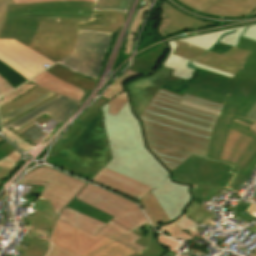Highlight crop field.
<instances>
[{
	"label": "crop field",
	"mask_w": 256,
	"mask_h": 256,
	"mask_svg": "<svg viewBox=\"0 0 256 256\" xmlns=\"http://www.w3.org/2000/svg\"><path fill=\"white\" fill-rule=\"evenodd\" d=\"M0 39H14L56 62L72 53L77 29L116 33L125 12L94 11L95 0H0Z\"/></svg>",
	"instance_id": "crop-field-1"
},
{
	"label": "crop field",
	"mask_w": 256,
	"mask_h": 256,
	"mask_svg": "<svg viewBox=\"0 0 256 256\" xmlns=\"http://www.w3.org/2000/svg\"><path fill=\"white\" fill-rule=\"evenodd\" d=\"M188 101L215 110L222 104L160 89L141 116L150 151L173 171L191 155L206 158L218 115L180 105Z\"/></svg>",
	"instance_id": "crop-field-2"
},
{
	"label": "crop field",
	"mask_w": 256,
	"mask_h": 256,
	"mask_svg": "<svg viewBox=\"0 0 256 256\" xmlns=\"http://www.w3.org/2000/svg\"><path fill=\"white\" fill-rule=\"evenodd\" d=\"M102 111L113 158L105 168L154 188L152 194L170 221L174 220L190 199L189 187L172 183L168 172L145 149L128 101L116 116L108 114V104Z\"/></svg>",
	"instance_id": "crop-field-3"
},
{
	"label": "crop field",
	"mask_w": 256,
	"mask_h": 256,
	"mask_svg": "<svg viewBox=\"0 0 256 256\" xmlns=\"http://www.w3.org/2000/svg\"><path fill=\"white\" fill-rule=\"evenodd\" d=\"M107 102L100 97L82 113L55 143L45 161L56 155L98 173L112 159L100 110Z\"/></svg>",
	"instance_id": "crop-field-4"
},
{
	"label": "crop field",
	"mask_w": 256,
	"mask_h": 256,
	"mask_svg": "<svg viewBox=\"0 0 256 256\" xmlns=\"http://www.w3.org/2000/svg\"><path fill=\"white\" fill-rule=\"evenodd\" d=\"M201 75L190 82L186 93L218 103L225 100L244 107L236 120L253 124L244 119L256 103V64L245 61L233 79L198 69Z\"/></svg>",
	"instance_id": "crop-field-5"
},
{
	"label": "crop field",
	"mask_w": 256,
	"mask_h": 256,
	"mask_svg": "<svg viewBox=\"0 0 256 256\" xmlns=\"http://www.w3.org/2000/svg\"><path fill=\"white\" fill-rule=\"evenodd\" d=\"M19 183L45 185L40 197L51 200L58 220L95 235L105 224L65 208L87 184L71 176L40 167L27 173Z\"/></svg>",
	"instance_id": "crop-field-6"
},
{
	"label": "crop field",
	"mask_w": 256,
	"mask_h": 256,
	"mask_svg": "<svg viewBox=\"0 0 256 256\" xmlns=\"http://www.w3.org/2000/svg\"><path fill=\"white\" fill-rule=\"evenodd\" d=\"M242 107L225 102L208 148L207 158L228 163L236 176L229 183L231 188L256 156V137L231 126ZM228 149V151H226Z\"/></svg>",
	"instance_id": "crop-field-7"
},
{
	"label": "crop field",
	"mask_w": 256,
	"mask_h": 256,
	"mask_svg": "<svg viewBox=\"0 0 256 256\" xmlns=\"http://www.w3.org/2000/svg\"><path fill=\"white\" fill-rule=\"evenodd\" d=\"M231 168L226 164L191 156L172 172V176L177 182L194 184L191 191L194 198L210 201L234 176L229 174Z\"/></svg>",
	"instance_id": "crop-field-8"
},
{
	"label": "crop field",
	"mask_w": 256,
	"mask_h": 256,
	"mask_svg": "<svg viewBox=\"0 0 256 256\" xmlns=\"http://www.w3.org/2000/svg\"><path fill=\"white\" fill-rule=\"evenodd\" d=\"M112 35L78 30L73 53L56 63L82 76L98 80Z\"/></svg>",
	"instance_id": "crop-field-9"
},
{
	"label": "crop field",
	"mask_w": 256,
	"mask_h": 256,
	"mask_svg": "<svg viewBox=\"0 0 256 256\" xmlns=\"http://www.w3.org/2000/svg\"><path fill=\"white\" fill-rule=\"evenodd\" d=\"M76 198L114 216L112 221L131 232L147 223L136 204L93 185L87 184Z\"/></svg>",
	"instance_id": "crop-field-10"
},
{
	"label": "crop field",
	"mask_w": 256,
	"mask_h": 256,
	"mask_svg": "<svg viewBox=\"0 0 256 256\" xmlns=\"http://www.w3.org/2000/svg\"><path fill=\"white\" fill-rule=\"evenodd\" d=\"M75 228L57 220L49 240L79 256H89L115 242L99 233L93 236Z\"/></svg>",
	"instance_id": "crop-field-11"
},
{
	"label": "crop field",
	"mask_w": 256,
	"mask_h": 256,
	"mask_svg": "<svg viewBox=\"0 0 256 256\" xmlns=\"http://www.w3.org/2000/svg\"><path fill=\"white\" fill-rule=\"evenodd\" d=\"M0 60L28 80L55 64L14 40H0Z\"/></svg>",
	"instance_id": "crop-field-12"
},
{
	"label": "crop field",
	"mask_w": 256,
	"mask_h": 256,
	"mask_svg": "<svg viewBox=\"0 0 256 256\" xmlns=\"http://www.w3.org/2000/svg\"><path fill=\"white\" fill-rule=\"evenodd\" d=\"M195 10L217 16H251L256 14V0H178Z\"/></svg>",
	"instance_id": "crop-field-13"
},
{
	"label": "crop field",
	"mask_w": 256,
	"mask_h": 256,
	"mask_svg": "<svg viewBox=\"0 0 256 256\" xmlns=\"http://www.w3.org/2000/svg\"><path fill=\"white\" fill-rule=\"evenodd\" d=\"M173 69L161 67V69L129 85V92L132 98L135 114L140 118L149 103L165 81H167Z\"/></svg>",
	"instance_id": "crop-field-14"
},
{
	"label": "crop field",
	"mask_w": 256,
	"mask_h": 256,
	"mask_svg": "<svg viewBox=\"0 0 256 256\" xmlns=\"http://www.w3.org/2000/svg\"><path fill=\"white\" fill-rule=\"evenodd\" d=\"M80 104L81 102L59 96L15 120L14 122L6 125L3 127V131L9 129L10 127L17 131L44 113L49 117L63 123Z\"/></svg>",
	"instance_id": "crop-field-15"
},
{
	"label": "crop field",
	"mask_w": 256,
	"mask_h": 256,
	"mask_svg": "<svg viewBox=\"0 0 256 256\" xmlns=\"http://www.w3.org/2000/svg\"><path fill=\"white\" fill-rule=\"evenodd\" d=\"M175 42L178 45L174 51V54L231 73L233 75H235L243 65L242 63L233 59L196 48L186 43L179 41Z\"/></svg>",
	"instance_id": "crop-field-16"
},
{
	"label": "crop field",
	"mask_w": 256,
	"mask_h": 256,
	"mask_svg": "<svg viewBox=\"0 0 256 256\" xmlns=\"http://www.w3.org/2000/svg\"><path fill=\"white\" fill-rule=\"evenodd\" d=\"M134 233L142 237L136 243L146 247L140 253L115 242L98 250L91 256H159L163 253V249L156 243L152 236L153 230L149 223L138 228ZM156 251H158V253H156Z\"/></svg>",
	"instance_id": "crop-field-17"
},
{
	"label": "crop field",
	"mask_w": 256,
	"mask_h": 256,
	"mask_svg": "<svg viewBox=\"0 0 256 256\" xmlns=\"http://www.w3.org/2000/svg\"><path fill=\"white\" fill-rule=\"evenodd\" d=\"M118 194L138 201L152 188L103 168L92 180Z\"/></svg>",
	"instance_id": "crop-field-18"
},
{
	"label": "crop field",
	"mask_w": 256,
	"mask_h": 256,
	"mask_svg": "<svg viewBox=\"0 0 256 256\" xmlns=\"http://www.w3.org/2000/svg\"><path fill=\"white\" fill-rule=\"evenodd\" d=\"M161 11V22L158 31L163 37L201 26L214 25L213 23L200 21L187 16L171 7L166 1H163Z\"/></svg>",
	"instance_id": "crop-field-19"
},
{
	"label": "crop field",
	"mask_w": 256,
	"mask_h": 256,
	"mask_svg": "<svg viewBox=\"0 0 256 256\" xmlns=\"http://www.w3.org/2000/svg\"><path fill=\"white\" fill-rule=\"evenodd\" d=\"M205 206L207 205H200L199 203L192 201V203H190L188 206L189 209H186L185 214L181 218H179L177 221L173 222L172 224L166 227H162L160 231L177 240L178 238L182 240L193 238L187 232L175 227L174 225L178 223L185 215L188 216L197 224L200 223L201 221L208 224L210 222H214L215 220H217V218L212 217V213H209V211L207 210L201 209Z\"/></svg>",
	"instance_id": "crop-field-20"
},
{
	"label": "crop field",
	"mask_w": 256,
	"mask_h": 256,
	"mask_svg": "<svg viewBox=\"0 0 256 256\" xmlns=\"http://www.w3.org/2000/svg\"><path fill=\"white\" fill-rule=\"evenodd\" d=\"M142 76L132 71H125L120 77L115 79V81L110 85L107 91L102 95V97L110 100L109 103V113L116 115L121 107L128 100L126 89L124 85L126 82ZM116 87V88H114Z\"/></svg>",
	"instance_id": "crop-field-21"
},
{
	"label": "crop field",
	"mask_w": 256,
	"mask_h": 256,
	"mask_svg": "<svg viewBox=\"0 0 256 256\" xmlns=\"http://www.w3.org/2000/svg\"><path fill=\"white\" fill-rule=\"evenodd\" d=\"M168 44L171 46V53L165 59V61L163 62V66L175 69V71L173 73V76L181 77V78H184L186 80L192 78V73L195 70L191 69L187 66L188 63H190L195 67H199L200 69H204V70H207V71H211V72H214V73H218V74L233 78V75H230L228 73L210 68L208 66H205V65L193 62V61H189L187 59H184V58H181L179 56H176V55L172 54L177 44H175L174 42H170Z\"/></svg>",
	"instance_id": "crop-field-22"
},
{
	"label": "crop field",
	"mask_w": 256,
	"mask_h": 256,
	"mask_svg": "<svg viewBox=\"0 0 256 256\" xmlns=\"http://www.w3.org/2000/svg\"><path fill=\"white\" fill-rule=\"evenodd\" d=\"M30 81L55 93L78 101H80L82 96L85 94V91L74 88L75 86L72 87L56 79L45 71L32 78Z\"/></svg>",
	"instance_id": "crop-field-23"
},
{
	"label": "crop field",
	"mask_w": 256,
	"mask_h": 256,
	"mask_svg": "<svg viewBox=\"0 0 256 256\" xmlns=\"http://www.w3.org/2000/svg\"><path fill=\"white\" fill-rule=\"evenodd\" d=\"M48 73L52 74L56 78L72 85L82 90L87 91L84 97L81 99V102L87 97L92 88L95 86L96 81L90 78L82 77L77 75L74 72H71L62 66L56 64L49 69L45 70Z\"/></svg>",
	"instance_id": "crop-field-24"
},
{
	"label": "crop field",
	"mask_w": 256,
	"mask_h": 256,
	"mask_svg": "<svg viewBox=\"0 0 256 256\" xmlns=\"http://www.w3.org/2000/svg\"><path fill=\"white\" fill-rule=\"evenodd\" d=\"M166 50L164 44L154 48L152 51L133 59V64L128 69L146 75L154 70Z\"/></svg>",
	"instance_id": "crop-field-25"
},
{
	"label": "crop field",
	"mask_w": 256,
	"mask_h": 256,
	"mask_svg": "<svg viewBox=\"0 0 256 256\" xmlns=\"http://www.w3.org/2000/svg\"><path fill=\"white\" fill-rule=\"evenodd\" d=\"M99 233L118 241L138 252H140L144 247L134 243L140 237L137 235L127 231L126 229L122 228L121 226L117 225L114 222L108 223L103 229L99 231Z\"/></svg>",
	"instance_id": "crop-field-26"
},
{
	"label": "crop field",
	"mask_w": 256,
	"mask_h": 256,
	"mask_svg": "<svg viewBox=\"0 0 256 256\" xmlns=\"http://www.w3.org/2000/svg\"><path fill=\"white\" fill-rule=\"evenodd\" d=\"M139 203L154 225L155 229L158 225L169 222L168 217L166 216L165 212H163L162 208L155 200L151 192Z\"/></svg>",
	"instance_id": "crop-field-27"
},
{
	"label": "crop field",
	"mask_w": 256,
	"mask_h": 256,
	"mask_svg": "<svg viewBox=\"0 0 256 256\" xmlns=\"http://www.w3.org/2000/svg\"><path fill=\"white\" fill-rule=\"evenodd\" d=\"M47 247L48 250L29 245L27 249L17 247V251L21 252L24 256H77L51 241H48Z\"/></svg>",
	"instance_id": "crop-field-28"
},
{
	"label": "crop field",
	"mask_w": 256,
	"mask_h": 256,
	"mask_svg": "<svg viewBox=\"0 0 256 256\" xmlns=\"http://www.w3.org/2000/svg\"><path fill=\"white\" fill-rule=\"evenodd\" d=\"M47 91L48 90L43 89L39 86L35 87L34 89L29 91L22 97L18 98L17 100H15L7 105L1 106L0 107V116L3 117L5 115L9 114L10 112L28 104L29 102L33 101L34 99L41 96L42 94H44ZM8 108H10L11 110H9Z\"/></svg>",
	"instance_id": "crop-field-29"
},
{
	"label": "crop field",
	"mask_w": 256,
	"mask_h": 256,
	"mask_svg": "<svg viewBox=\"0 0 256 256\" xmlns=\"http://www.w3.org/2000/svg\"><path fill=\"white\" fill-rule=\"evenodd\" d=\"M67 208L77 211L86 216H89L98 221H101L105 224H107L108 222H110L113 219V217H111V216L77 200V199H74L69 205H67Z\"/></svg>",
	"instance_id": "crop-field-30"
},
{
	"label": "crop field",
	"mask_w": 256,
	"mask_h": 256,
	"mask_svg": "<svg viewBox=\"0 0 256 256\" xmlns=\"http://www.w3.org/2000/svg\"><path fill=\"white\" fill-rule=\"evenodd\" d=\"M47 163H50L52 164L53 166L59 168V169H62V170H65L67 172H70L74 175H77L79 177H82V178H85L87 180H91L95 175L96 173L92 172V171H89L87 169H84L80 166H77L75 164H72L68 161H65L63 159H60L56 156H54L51 160H49Z\"/></svg>",
	"instance_id": "crop-field-31"
},
{
	"label": "crop field",
	"mask_w": 256,
	"mask_h": 256,
	"mask_svg": "<svg viewBox=\"0 0 256 256\" xmlns=\"http://www.w3.org/2000/svg\"><path fill=\"white\" fill-rule=\"evenodd\" d=\"M234 30H236V29H234ZM229 31H232V30L221 31V32L213 33V34L191 37V38L182 39V40H179V41H183V42H186L188 44L194 45L196 47L208 50L217 41V39L220 37V35L222 33L229 32Z\"/></svg>",
	"instance_id": "crop-field-32"
},
{
	"label": "crop field",
	"mask_w": 256,
	"mask_h": 256,
	"mask_svg": "<svg viewBox=\"0 0 256 256\" xmlns=\"http://www.w3.org/2000/svg\"><path fill=\"white\" fill-rule=\"evenodd\" d=\"M153 0H144L143 4H145L144 8L141 7V9L139 10L131 28H130V33L129 35L127 36V44H126V50L125 53L127 54H130L131 53V50H132V47H133V44H134V41H135V37H136V33H137V30L139 28V25L149 7V5L151 4Z\"/></svg>",
	"instance_id": "crop-field-33"
},
{
	"label": "crop field",
	"mask_w": 256,
	"mask_h": 256,
	"mask_svg": "<svg viewBox=\"0 0 256 256\" xmlns=\"http://www.w3.org/2000/svg\"><path fill=\"white\" fill-rule=\"evenodd\" d=\"M241 36L256 40V25L245 28H239V30L234 32L233 34L222 38L220 42L236 47L239 43V39Z\"/></svg>",
	"instance_id": "crop-field-34"
},
{
	"label": "crop field",
	"mask_w": 256,
	"mask_h": 256,
	"mask_svg": "<svg viewBox=\"0 0 256 256\" xmlns=\"http://www.w3.org/2000/svg\"><path fill=\"white\" fill-rule=\"evenodd\" d=\"M130 0H98L96 9L126 10Z\"/></svg>",
	"instance_id": "crop-field-35"
},
{
	"label": "crop field",
	"mask_w": 256,
	"mask_h": 256,
	"mask_svg": "<svg viewBox=\"0 0 256 256\" xmlns=\"http://www.w3.org/2000/svg\"><path fill=\"white\" fill-rule=\"evenodd\" d=\"M54 94H55V93H53V92H51V91L45 93L44 95H42L41 97L37 98L36 100H34L33 102L29 103L28 105H26V106H24V107H22V108H20V109H18V110H16V111L10 113L9 115H7V116L1 118L2 123H5V122L9 121L10 119H12V118L18 116L19 114L23 113V112L26 111L27 109L31 108L32 106L36 105V104L39 103V102H41V101H43V100H45V99L51 97V96L54 95Z\"/></svg>",
	"instance_id": "crop-field-36"
},
{
	"label": "crop field",
	"mask_w": 256,
	"mask_h": 256,
	"mask_svg": "<svg viewBox=\"0 0 256 256\" xmlns=\"http://www.w3.org/2000/svg\"><path fill=\"white\" fill-rule=\"evenodd\" d=\"M237 47L253 51L247 61L256 63V41L241 37L240 44Z\"/></svg>",
	"instance_id": "crop-field-37"
},
{
	"label": "crop field",
	"mask_w": 256,
	"mask_h": 256,
	"mask_svg": "<svg viewBox=\"0 0 256 256\" xmlns=\"http://www.w3.org/2000/svg\"><path fill=\"white\" fill-rule=\"evenodd\" d=\"M28 220L51 228L56 221V219L39 212H37L34 216H28Z\"/></svg>",
	"instance_id": "crop-field-38"
},
{
	"label": "crop field",
	"mask_w": 256,
	"mask_h": 256,
	"mask_svg": "<svg viewBox=\"0 0 256 256\" xmlns=\"http://www.w3.org/2000/svg\"><path fill=\"white\" fill-rule=\"evenodd\" d=\"M35 86H37V85L34 84L32 86H27L24 84L21 87H19L18 89H16L15 91H13L12 93H10L2 98L5 101V104H7V103L17 99L18 97L22 96L23 94H25L26 92H28L29 90L34 88Z\"/></svg>",
	"instance_id": "crop-field-39"
},
{
	"label": "crop field",
	"mask_w": 256,
	"mask_h": 256,
	"mask_svg": "<svg viewBox=\"0 0 256 256\" xmlns=\"http://www.w3.org/2000/svg\"><path fill=\"white\" fill-rule=\"evenodd\" d=\"M23 155L17 150L11 153L6 158L0 160V167L11 169Z\"/></svg>",
	"instance_id": "crop-field-40"
},
{
	"label": "crop field",
	"mask_w": 256,
	"mask_h": 256,
	"mask_svg": "<svg viewBox=\"0 0 256 256\" xmlns=\"http://www.w3.org/2000/svg\"><path fill=\"white\" fill-rule=\"evenodd\" d=\"M37 199H39L40 201L38 202V204L32 208L36 209L37 211L47 214L49 216H52L54 218H56L57 215L54 214L52 206H51V202L49 200L43 199L38 197Z\"/></svg>",
	"instance_id": "crop-field-41"
},
{
	"label": "crop field",
	"mask_w": 256,
	"mask_h": 256,
	"mask_svg": "<svg viewBox=\"0 0 256 256\" xmlns=\"http://www.w3.org/2000/svg\"><path fill=\"white\" fill-rule=\"evenodd\" d=\"M250 53H251L250 51L234 48L222 55L233 58L235 60H238V61L244 63V61L247 59V57L250 55Z\"/></svg>",
	"instance_id": "crop-field-42"
},
{
	"label": "crop field",
	"mask_w": 256,
	"mask_h": 256,
	"mask_svg": "<svg viewBox=\"0 0 256 256\" xmlns=\"http://www.w3.org/2000/svg\"><path fill=\"white\" fill-rule=\"evenodd\" d=\"M250 206V204L248 203H242V202H239L235 208V215L247 222H252L253 220H255L256 218L252 217V216H249V215H246L244 214L245 211L247 210V208Z\"/></svg>",
	"instance_id": "crop-field-43"
},
{
	"label": "crop field",
	"mask_w": 256,
	"mask_h": 256,
	"mask_svg": "<svg viewBox=\"0 0 256 256\" xmlns=\"http://www.w3.org/2000/svg\"><path fill=\"white\" fill-rule=\"evenodd\" d=\"M30 225L32 226V228H31L29 235L38 238L39 235L42 234V235L46 236V239L49 238L51 228H47V227H44V226H41V225H38V224H35L32 222Z\"/></svg>",
	"instance_id": "crop-field-44"
},
{
	"label": "crop field",
	"mask_w": 256,
	"mask_h": 256,
	"mask_svg": "<svg viewBox=\"0 0 256 256\" xmlns=\"http://www.w3.org/2000/svg\"><path fill=\"white\" fill-rule=\"evenodd\" d=\"M4 134L14 144H15V142H17V144H15V145L19 148H22L24 151H26L32 147L29 144H27L25 141H23L22 139L18 138L14 133H12L9 130L4 132Z\"/></svg>",
	"instance_id": "crop-field-45"
},
{
	"label": "crop field",
	"mask_w": 256,
	"mask_h": 256,
	"mask_svg": "<svg viewBox=\"0 0 256 256\" xmlns=\"http://www.w3.org/2000/svg\"><path fill=\"white\" fill-rule=\"evenodd\" d=\"M157 239L159 240V242L164 245L167 249H168V252L166 254V256H175V254L173 253H170L171 251H174L178 245V243L170 240V239H167L161 235L158 234V237ZM177 250V249H176Z\"/></svg>",
	"instance_id": "crop-field-46"
},
{
	"label": "crop field",
	"mask_w": 256,
	"mask_h": 256,
	"mask_svg": "<svg viewBox=\"0 0 256 256\" xmlns=\"http://www.w3.org/2000/svg\"><path fill=\"white\" fill-rule=\"evenodd\" d=\"M13 89L15 88L12 87L9 83H7L3 78L0 77V97L4 96L5 94L12 91Z\"/></svg>",
	"instance_id": "crop-field-47"
},
{
	"label": "crop field",
	"mask_w": 256,
	"mask_h": 256,
	"mask_svg": "<svg viewBox=\"0 0 256 256\" xmlns=\"http://www.w3.org/2000/svg\"><path fill=\"white\" fill-rule=\"evenodd\" d=\"M1 140H3V139L0 138V141ZM14 150H16V149L13 148L12 146L10 147L7 142L4 143L3 145L0 146V159L6 157L7 155H9Z\"/></svg>",
	"instance_id": "crop-field-48"
},
{
	"label": "crop field",
	"mask_w": 256,
	"mask_h": 256,
	"mask_svg": "<svg viewBox=\"0 0 256 256\" xmlns=\"http://www.w3.org/2000/svg\"><path fill=\"white\" fill-rule=\"evenodd\" d=\"M24 239L31 241L30 245H34V246H38V247H42V248L47 249V247H46L47 242L46 241L31 237V236H27V235Z\"/></svg>",
	"instance_id": "crop-field-49"
},
{
	"label": "crop field",
	"mask_w": 256,
	"mask_h": 256,
	"mask_svg": "<svg viewBox=\"0 0 256 256\" xmlns=\"http://www.w3.org/2000/svg\"><path fill=\"white\" fill-rule=\"evenodd\" d=\"M182 105H186V106H189V107H193V108H196V109H200V110L211 112V113L218 114V115L220 113L219 111H215V110H212V109H208V108L201 107V106L191 104V103H188V102H184V101L182 102Z\"/></svg>",
	"instance_id": "crop-field-50"
},
{
	"label": "crop field",
	"mask_w": 256,
	"mask_h": 256,
	"mask_svg": "<svg viewBox=\"0 0 256 256\" xmlns=\"http://www.w3.org/2000/svg\"><path fill=\"white\" fill-rule=\"evenodd\" d=\"M57 96H59V95H57V94H56V95L52 96L51 98H49V99H47V100H45V101H43V102H41V103L37 104L36 106L32 107L31 109L27 110L26 112H24L23 114L19 115L18 117L14 118V119L12 118V119H13V120H15V119H17V118L21 117L22 115H24V114L28 113L29 111H31V110H33V109L37 108L38 106L42 105L43 103H45V102H47V101H49V100H51V99H53V98H55V97H57ZM10 120H11V119H10ZM13 120H11V121H9V122H7V123L3 124V126H5L6 124H8V123L12 122Z\"/></svg>",
	"instance_id": "crop-field-51"
},
{
	"label": "crop field",
	"mask_w": 256,
	"mask_h": 256,
	"mask_svg": "<svg viewBox=\"0 0 256 256\" xmlns=\"http://www.w3.org/2000/svg\"><path fill=\"white\" fill-rule=\"evenodd\" d=\"M19 165H15L11 170H7V169H3L0 168V182L12 171L14 170L16 167H18Z\"/></svg>",
	"instance_id": "crop-field-52"
},
{
	"label": "crop field",
	"mask_w": 256,
	"mask_h": 256,
	"mask_svg": "<svg viewBox=\"0 0 256 256\" xmlns=\"http://www.w3.org/2000/svg\"><path fill=\"white\" fill-rule=\"evenodd\" d=\"M232 127L237 128V129H239V130H242V131H244V132H247V133H249V134H252V135L256 136L255 133L248 131L249 128H247V127H245V126H243V125L237 124V123H235V122H233Z\"/></svg>",
	"instance_id": "crop-field-53"
},
{
	"label": "crop field",
	"mask_w": 256,
	"mask_h": 256,
	"mask_svg": "<svg viewBox=\"0 0 256 256\" xmlns=\"http://www.w3.org/2000/svg\"><path fill=\"white\" fill-rule=\"evenodd\" d=\"M246 119L256 121V104L254 107L251 109L249 114L246 116Z\"/></svg>",
	"instance_id": "crop-field-54"
},
{
	"label": "crop field",
	"mask_w": 256,
	"mask_h": 256,
	"mask_svg": "<svg viewBox=\"0 0 256 256\" xmlns=\"http://www.w3.org/2000/svg\"><path fill=\"white\" fill-rule=\"evenodd\" d=\"M5 12H6V6L1 5L0 6V28L3 24L4 19H5Z\"/></svg>",
	"instance_id": "crop-field-55"
},
{
	"label": "crop field",
	"mask_w": 256,
	"mask_h": 256,
	"mask_svg": "<svg viewBox=\"0 0 256 256\" xmlns=\"http://www.w3.org/2000/svg\"><path fill=\"white\" fill-rule=\"evenodd\" d=\"M255 161H256V157H255V159L251 162V164L247 167V169L244 171V173L240 176V178L236 181V183L233 185V187L237 185V183L241 180V178H242V177L245 175V173L250 169V167L254 164ZM233 187H232V189H233Z\"/></svg>",
	"instance_id": "crop-field-56"
},
{
	"label": "crop field",
	"mask_w": 256,
	"mask_h": 256,
	"mask_svg": "<svg viewBox=\"0 0 256 256\" xmlns=\"http://www.w3.org/2000/svg\"><path fill=\"white\" fill-rule=\"evenodd\" d=\"M234 121L237 122V123H240V124H243V125L249 127V128H250V131H253V132L256 133V122H255L252 126H250V125H247V124H245V123H242V122H239V121H236V120H234Z\"/></svg>",
	"instance_id": "crop-field-57"
},
{
	"label": "crop field",
	"mask_w": 256,
	"mask_h": 256,
	"mask_svg": "<svg viewBox=\"0 0 256 256\" xmlns=\"http://www.w3.org/2000/svg\"><path fill=\"white\" fill-rule=\"evenodd\" d=\"M9 130H11L12 132H14V133H16L20 138H22L23 140H25L26 142H28L29 144H31V145H36V144H34L33 142H31L30 140L28 141L25 137H23L22 135H20L19 133H17L15 130H13V129H9Z\"/></svg>",
	"instance_id": "crop-field-58"
},
{
	"label": "crop field",
	"mask_w": 256,
	"mask_h": 256,
	"mask_svg": "<svg viewBox=\"0 0 256 256\" xmlns=\"http://www.w3.org/2000/svg\"><path fill=\"white\" fill-rule=\"evenodd\" d=\"M255 165H256V162H255V164L251 167V169L246 173V175L242 178V180L238 183V185H237L236 187H234L233 190L236 191L237 187L241 184V182L245 179V177L250 173V171L255 167Z\"/></svg>",
	"instance_id": "crop-field-59"
},
{
	"label": "crop field",
	"mask_w": 256,
	"mask_h": 256,
	"mask_svg": "<svg viewBox=\"0 0 256 256\" xmlns=\"http://www.w3.org/2000/svg\"><path fill=\"white\" fill-rule=\"evenodd\" d=\"M247 229H248V228H247ZM249 230H251V231H253V232L256 233V227H255V226H253V228H252V229H249ZM253 256H256V253H255Z\"/></svg>",
	"instance_id": "crop-field-60"
},
{
	"label": "crop field",
	"mask_w": 256,
	"mask_h": 256,
	"mask_svg": "<svg viewBox=\"0 0 256 256\" xmlns=\"http://www.w3.org/2000/svg\"><path fill=\"white\" fill-rule=\"evenodd\" d=\"M0 132H1V127H0Z\"/></svg>",
	"instance_id": "crop-field-61"
}]
</instances>
